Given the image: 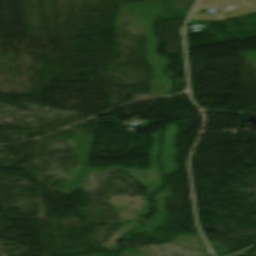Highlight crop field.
I'll return each mask as SVG.
<instances>
[{
    "instance_id": "obj_1",
    "label": "crop field",
    "mask_w": 256,
    "mask_h": 256,
    "mask_svg": "<svg viewBox=\"0 0 256 256\" xmlns=\"http://www.w3.org/2000/svg\"><path fill=\"white\" fill-rule=\"evenodd\" d=\"M227 6L233 7L231 10H228L225 9ZM202 8L222 11L219 15L192 14L190 19L225 20L256 12V0H200L194 12H200ZM228 12H230L229 15L224 16V13Z\"/></svg>"
}]
</instances>
